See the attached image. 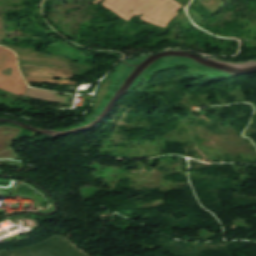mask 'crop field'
Wrapping results in <instances>:
<instances>
[{
	"label": "crop field",
	"instance_id": "crop-field-2",
	"mask_svg": "<svg viewBox=\"0 0 256 256\" xmlns=\"http://www.w3.org/2000/svg\"><path fill=\"white\" fill-rule=\"evenodd\" d=\"M0 256H87L61 236L45 240L37 245L9 251H0Z\"/></svg>",
	"mask_w": 256,
	"mask_h": 256
},
{
	"label": "crop field",
	"instance_id": "crop-field-6",
	"mask_svg": "<svg viewBox=\"0 0 256 256\" xmlns=\"http://www.w3.org/2000/svg\"><path fill=\"white\" fill-rule=\"evenodd\" d=\"M99 1H100V0H95V1H94V3H96V4H97Z\"/></svg>",
	"mask_w": 256,
	"mask_h": 256
},
{
	"label": "crop field",
	"instance_id": "crop-field-5",
	"mask_svg": "<svg viewBox=\"0 0 256 256\" xmlns=\"http://www.w3.org/2000/svg\"><path fill=\"white\" fill-rule=\"evenodd\" d=\"M28 85L30 82H36V83H59V84H74L76 85V82H70V81H63V80H55V79H38V78H25Z\"/></svg>",
	"mask_w": 256,
	"mask_h": 256
},
{
	"label": "crop field",
	"instance_id": "crop-field-3",
	"mask_svg": "<svg viewBox=\"0 0 256 256\" xmlns=\"http://www.w3.org/2000/svg\"><path fill=\"white\" fill-rule=\"evenodd\" d=\"M0 88L21 96L26 89L16 66L15 55L4 48L0 51Z\"/></svg>",
	"mask_w": 256,
	"mask_h": 256
},
{
	"label": "crop field",
	"instance_id": "crop-field-7",
	"mask_svg": "<svg viewBox=\"0 0 256 256\" xmlns=\"http://www.w3.org/2000/svg\"><path fill=\"white\" fill-rule=\"evenodd\" d=\"M1 49V48H0Z\"/></svg>",
	"mask_w": 256,
	"mask_h": 256
},
{
	"label": "crop field",
	"instance_id": "crop-field-1",
	"mask_svg": "<svg viewBox=\"0 0 256 256\" xmlns=\"http://www.w3.org/2000/svg\"><path fill=\"white\" fill-rule=\"evenodd\" d=\"M102 6L127 21L143 13L142 20L160 27H165L181 7L172 0H104Z\"/></svg>",
	"mask_w": 256,
	"mask_h": 256
},
{
	"label": "crop field",
	"instance_id": "crop-field-4",
	"mask_svg": "<svg viewBox=\"0 0 256 256\" xmlns=\"http://www.w3.org/2000/svg\"><path fill=\"white\" fill-rule=\"evenodd\" d=\"M25 96L52 102L66 103L68 98L37 89H27ZM70 99V98H69Z\"/></svg>",
	"mask_w": 256,
	"mask_h": 256
}]
</instances>
